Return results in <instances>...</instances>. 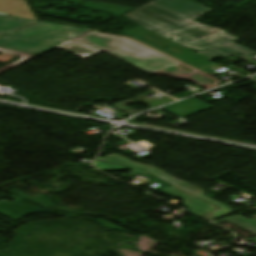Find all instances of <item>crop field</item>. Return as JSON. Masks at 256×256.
<instances>
[{"label": "crop field", "instance_id": "obj_14", "mask_svg": "<svg viewBox=\"0 0 256 256\" xmlns=\"http://www.w3.org/2000/svg\"><path fill=\"white\" fill-rule=\"evenodd\" d=\"M256 211V209H254Z\"/></svg>", "mask_w": 256, "mask_h": 256}, {"label": "crop field", "instance_id": "obj_11", "mask_svg": "<svg viewBox=\"0 0 256 256\" xmlns=\"http://www.w3.org/2000/svg\"><path fill=\"white\" fill-rule=\"evenodd\" d=\"M95 166H96V168H98V169H100L102 171H118V170L130 169V170L142 173V174L145 173V172H141V171H139L137 169L121 167V166L112 165V164H108V163H104V162H99V161H96Z\"/></svg>", "mask_w": 256, "mask_h": 256}, {"label": "crop field", "instance_id": "obj_10", "mask_svg": "<svg viewBox=\"0 0 256 256\" xmlns=\"http://www.w3.org/2000/svg\"><path fill=\"white\" fill-rule=\"evenodd\" d=\"M82 6L87 7V8L96 9V10L111 12L117 16H120L122 13L129 12V11L133 10V8L99 4V3L87 2V1H84Z\"/></svg>", "mask_w": 256, "mask_h": 256}, {"label": "crop field", "instance_id": "obj_4", "mask_svg": "<svg viewBox=\"0 0 256 256\" xmlns=\"http://www.w3.org/2000/svg\"><path fill=\"white\" fill-rule=\"evenodd\" d=\"M123 35L132 37L180 62H183L196 69H199L205 73H208L212 70H215L217 68L224 66L222 64H214L210 62L208 58L190 49H187L175 42H172L166 38H163L157 34H154L149 30L140 26L124 33ZM163 45L171 48V50L168 51L162 48L161 46Z\"/></svg>", "mask_w": 256, "mask_h": 256}, {"label": "crop field", "instance_id": "obj_9", "mask_svg": "<svg viewBox=\"0 0 256 256\" xmlns=\"http://www.w3.org/2000/svg\"><path fill=\"white\" fill-rule=\"evenodd\" d=\"M225 221H228L234 225H237L241 228H244V229L256 234V217L252 220H249L240 215H237L234 217L224 218V219L215 221L214 223L219 224V223H222ZM254 239L256 240V238H254Z\"/></svg>", "mask_w": 256, "mask_h": 256}, {"label": "crop field", "instance_id": "obj_12", "mask_svg": "<svg viewBox=\"0 0 256 256\" xmlns=\"http://www.w3.org/2000/svg\"><path fill=\"white\" fill-rule=\"evenodd\" d=\"M231 212H234L233 210L229 209L228 207L224 206L218 210H215L213 212L207 213L205 215H202L210 220H213L215 218L221 217L223 215L229 214Z\"/></svg>", "mask_w": 256, "mask_h": 256}, {"label": "crop field", "instance_id": "obj_3", "mask_svg": "<svg viewBox=\"0 0 256 256\" xmlns=\"http://www.w3.org/2000/svg\"><path fill=\"white\" fill-rule=\"evenodd\" d=\"M89 29L39 22L0 38V49L41 55Z\"/></svg>", "mask_w": 256, "mask_h": 256}, {"label": "crop field", "instance_id": "obj_1", "mask_svg": "<svg viewBox=\"0 0 256 256\" xmlns=\"http://www.w3.org/2000/svg\"><path fill=\"white\" fill-rule=\"evenodd\" d=\"M210 10L191 0H156L124 16L163 37H174L175 42L197 49L208 58L233 56L248 61L246 57L256 54L230 42L235 38L226 32L192 21Z\"/></svg>", "mask_w": 256, "mask_h": 256}, {"label": "crop field", "instance_id": "obj_7", "mask_svg": "<svg viewBox=\"0 0 256 256\" xmlns=\"http://www.w3.org/2000/svg\"><path fill=\"white\" fill-rule=\"evenodd\" d=\"M212 108L194 98L166 107L171 112H179L181 117Z\"/></svg>", "mask_w": 256, "mask_h": 256}, {"label": "crop field", "instance_id": "obj_2", "mask_svg": "<svg viewBox=\"0 0 256 256\" xmlns=\"http://www.w3.org/2000/svg\"><path fill=\"white\" fill-rule=\"evenodd\" d=\"M58 48L75 53L84 59L105 50L145 72L154 73L159 71L178 78L186 77L212 87L219 83V81L209 76L126 37L105 35L92 31L78 38V41L72 40L67 45H61Z\"/></svg>", "mask_w": 256, "mask_h": 256}, {"label": "crop field", "instance_id": "obj_8", "mask_svg": "<svg viewBox=\"0 0 256 256\" xmlns=\"http://www.w3.org/2000/svg\"><path fill=\"white\" fill-rule=\"evenodd\" d=\"M33 23L35 21L0 15V33L6 34Z\"/></svg>", "mask_w": 256, "mask_h": 256}, {"label": "crop field", "instance_id": "obj_5", "mask_svg": "<svg viewBox=\"0 0 256 256\" xmlns=\"http://www.w3.org/2000/svg\"><path fill=\"white\" fill-rule=\"evenodd\" d=\"M99 161H104V162H109V163H114V164H119V165H124V166H129V167H135V168H140V169H143L167 182H169L170 184L188 192V193H191L195 196H198L204 200H207L219 207H222L224 206L223 204L207 197V196H204V190L198 188V187H195L193 185H190L186 182H182L164 172H162L161 170L159 169H156L154 167H151L149 165H140V164H137V163H134L124 157H121V156H118V155H110L108 157H105V158H101V157H98ZM163 174H166L165 176H163ZM195 191H198L199 193L195 192Z\"/></svg>", "mask_w": 256, "mask_h": 256}, {"label": "crop field", "instance_id": "obj_6", "mask_svg": "<svg viewBox=\"0 0 256 256\" xmlns=\"http://www.w3.org/2000/svg\"><path fill=\"white\" fill-rule=\"evenodd\" d=\"M164 193L172 196V197H182L184 199L185 206L193 213L197 215H201L208 211L216 209L215 206L206 203L200 199H197L193 196H190L174 187L166 189L163 191Z\"/></svg>", "mask_w": 256, "mask_h": 256}, {"label": "crop field", "instance_id": "obj_13", "mask_svg": "<svg viewBox=\"0 0 256 256\" xmlns=\"http://www.w3.org/2000/svg\"><path fill=\"white\" fill-rule=\"evenodd\" d=\"M254 66H256V64H253Z\"/></svg>", "mask_w": 256, "mask_h": 256}]
</instances>
